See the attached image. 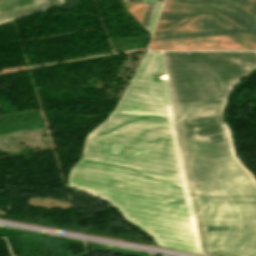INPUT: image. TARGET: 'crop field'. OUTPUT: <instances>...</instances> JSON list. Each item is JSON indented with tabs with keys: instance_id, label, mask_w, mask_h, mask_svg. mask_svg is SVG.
<instances>
[{
	"instance_id": "crop-field-1",
	"label": "crop field",
	"mask_w": 256,
	"mask_h": 256,
	"mask_svg": "<svg viewBox=\"0 0 256 256\" xmlns=\"http://www.w3.org/2000/svg\"><path fill=\"white\" fill-rule=\"evenodd\" d=\"M160 52L146 51L116 108L87 134L67 185L113 205L158 246L202 254Z\"/></svg>"
},
{
	"instance_id": "crop-field-2",
	"label": "crop field",
	"mask_w": 256,
	"mask_h": 256,
	"mask_svg": "<svg viewBox=\"0 0 256 256\" xmlns=\"http://www.w3.org/2000/svg\"><path fill=\"white\" fill-rule=\"evenodd\" d=\"M204 253L256 256V181L221 123L256 52H163Z\"/></svg>"
},
{
	"instance_id": "crop-field-3",
	"label": "crop field",
	"mask_w": 256,
	"mask_h": 256,
	"mask_svg": "<svg viewBox=\"0 0 256 256\" xmlns=\"http://www.w3.org/2000/svg\"><path fill=\"white\" fill-rule=\"evenodd\" d=\"M151 50H256V0H166Z\"/></svg>"
},
{
	"instance_id": "crop-field-4",
	"label": "crop field",
	"mask_w": 256,
	"mask_h": 256,
	"mask_svg": "<svg viewBox=\"0 0 256 256\" xmlns=\"http://www.w3.org/2000/svg\"><path fill=\"white\" fill-rule=\"evenodd\" d=\"M31 7L33 0H0V13Z\"/></svg>"
},
{
	"instance_id": "crop-field-5",
	"label": "crop field",
	"mask_w": 256,
	"mask_h": 256,
	"mask_svg": "<svg viewBox=\"0 0 256 256\" xmlns=\"http://www.w3.org/2000/svg\"><path fill=\"white\" fill-rule=\"evenodd\" d=\"M48 6L46 7H40V8H35V9H29V10H23V11H17V12H11V13H5V14H0V24L13 20L15 18L32 14V13H38L46 10Z\"/></svg>"
},
{
	"instance_id": "crop-field-6",
	"label": "crop field",
	"mask_w": 256,
	"mask_h": 256,
	"mask_svg": "<svg viewBox=\"0 0 256 256\" xmlns=\"http://www.w3.org/2000/svg\"><path fill=\"white\" fill-rule=\"evenodd\" d=\"M147 4L127 3L126 8L140 21Z\"/></svg>"
},
{
	"instance_id": "crop-field-7",
	"label": "crop field",
	"mask_w": 256,
	"mask_h": 256,
	"mask_svg": "<svg viewBox=\"0 0 256 256\" xmlns=\"http://www.w3.org/2000/svg\"><path fill=\"white\" fill-rule=\"evenodd\" d=\"M154 6H155V5L148 4V5H147V8H146V10H145L144 16H143L142 21H141V24L143 25V27H144L145 29H147V26H148L150 17H151V15H152Z\"/></svg>"
},
{
	"instance_id": "crop-field-8",
	"label": "crop field",
	"mask_w": 256,
	"mask_h": 256,
	"mask_svg": "<svg viewBox=\"0 0 256 256\" xmlns=\"http://www.w3.org/2000/svg\"><path fill=\"white\" fill-rule=\"evenodd\" d=\"M161 6H162V5H156V6H155V9H154L152 18H151V20H150V23H149V26H148V29H147V32H148L150 35H152L153 28H154V25H155V22H156V19H157V16H158V14H159V11H160Z\"/></svg>"
},
{
	"instance_id": "crop-field-9",
	"label": "crop field",
	"mask_w": 256,
	"mask_h": 256,
	"mask_svg": "<svg viewBox=\"0 0 256 256\" xmlns=\"http://www.w3.org/2000/svg\"><path fill=\"white\" fill-rule=\"evenodd\" d=\"M43 5H48V0H34V7Z\"/></svg>"
},
{
	"instance_id": "crop-field-10",
	"label": "crop field",
	"mask_w": 256,
	"mask_h": 256,
	"mask_svg": "<svg viewBox=\"0 0 256 256\" xmlns=\"http://www.w3.org/2000/svg\"><path fill=\"white\" fill-rule=\"evenodd\" d=\"M62 3V0H49V5Z\"/></svg>"
},
{
	"instance_id": "crop-field-11",
	"label": "crop field",
	"mask_w": 256,
	"mask_h": 256,
	"mask_svg": "<svg viewBox=\"0 0 256 256\" xmlns=\"http://www.w3.org/2000/svg\"><path fill=\"white\" fill-rule=\"evenodd\" d=\"M143 2L155 3L156 0H144Z\"/></svg>"
},
{
	"instance_id": "crop-field-12",
	"label": "crop field",
	"mask_w": 256,
	"mask_h": 256,
	"mask_svg": "<svg viewBox=\"0 0 256 256\" xmlns=\"http://www.w3.org/2000/svg\"><path fill=\"white\" fill-rule=\"evenodd\" d=\"M123 1L142 2L143 0H123Z\"/></svg>"
},
{
	"instance_id": "crop-field-13",
	"label": "crop field",
	"mask_w": 256,
	"mask_h": 256,
	"mask_svg": "<svg viewBox=\"0 0 256 256\" xmlns=\"http://www.w3.org/2000/svg\"><path fill=\"white\" fill-rule=\"evenodd\" d=\"M163 2V0H157V2L156 3H162Z\"/></svg>"
},
{
	"instance_id": "crop-field-14",
	"label": "crop field",
	"mask_w": 256,
	"mask_h": 256,
	"mask_svg": "<svg viewBox=\"0 0 256 256\" xmlns=\"http://www.w3.org/2000/svg\"><path fill=\"white\" fill-rule=\"evenodd\" d=\"M162 256H165V255H162Z\"/></svg>"
}]
</instances>
